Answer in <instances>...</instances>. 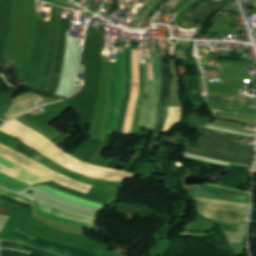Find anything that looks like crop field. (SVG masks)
Instances as JSON below:
<instances>
[{
    "mask_svg": "<svg viewBox=\"0 0 256 256\" xmlns=\"http://www.w3.org/2000/svg\"><path fill=\"white\" fill-rule=\"evenodd\" d=\"M209 107L214 110H221V111H228V112H233V113L248 114V115L256 116V112H252V111L229 109V108H222V107H216V106H210V105H209Z\"/></svg>",
    "mask_w": 256,
    "mask_h": 256,
    "instance_id": "obj_25",
    "label": "crop field"
},
{
    "mask_svg": "<svg viewBox=\"0 0 256 256\" xmlns=\"http://www.w3.org/2000/svg\"><path fill=\"white\" fill-rule=\"evenodd\" d=\"M161 64H162V93H161L160 99H169L170 80H169L166 58H161ZM168 103H169V100H160V107H159V113H158V118H157V122H156V127H155V131L153 134L152 144L149 148V150L151 152L154 151L155 142L163 130L164 123H165L166 116H167Z\"/></svg>",
    "mask_w": 256,
    "mask_h": 256,
    "instance_id": "obj_9",
    "label": "crop field"
},
{
    "mask_svg": "<svg viewBox=\"0 0 256 256\" xmlns=\"http://www.w3.org/2000/svg\"><path fill=\"white\" fill-rule=\"evenodd\" d=\"M17 228H19V227H17ZM19 229H21V228H19ZM13 235L20 238L23 243L29 244L31 246H34V247H37V248H40L43 250L54 252V253H57V254H60L63 256H98V254H94V253L84 251L81 249L69 247V246L63 245L61 243H49L35 235H34L36 237L35 240H33L21 233H18L16 231L14 232Z\"/></svg>",
    "mask_w": 256,
    "mask_h": 256,
    "instance_id": "obj_7",
    "label": "crop field"
},
{
    "mask_svg": "<svg viewBox=\"0 0 256 256\" xmlns=\"http://www.w3.org/2000/svg\"><path fill=\"white\" fill-rule=\"evenodd\" d=\"M0 200L8 201L10 203H13V204L18 205V206H22V207H24L26 209H29V210L33 211V208H32L31 205L23 203V202H20V201H17V200H14V199L2 196V195H0Z\"/></svg>",
    "mask_w": 256,
    "mask_h": 256,
    "instance_id": "obj_26",
    "label": "crop field"
},
{
    "mask_svg": "<svg viewBox=\"0 0 256 256\" xmlns=\"http://www.w3.org/2000/svg\"><path fill=\"white\" fill-rule=\"evenodd\" d=\"M182 108L169 107V115L163 132H168L171 128L181 121Z\"/></svg>",
    "mask_w": 256,
    "mask_h": 256,
    "instance_id": "obj_18",
    "label": "crop field"
},
{
    "mask_svg": "<svg viewBox=\"0 0 256 256\" xmlns=\"http://www.w3.org/2000/svg\"><path fill=\"white\" fill-rule=\"evenodd\" d=\"M0 253H1V256H32L30 254H26L23 252L6 250V249L0 250Z\"/></svg>",
    "mask_w": 256,
    "mask_h": 256,
    "instance_id": "obj_28",
    "label": "crop field"
},
{
    "mask_svg": "<svg viewBox=\"0 0 256 256\" xmlns=\"http://www.w3.org/2000/svg\"><path fill=\"white\" fill-rule=\"evenodd\" d=\"M206 134L210 135L207 137L203 136V138L199 137L198 144L253 155V146L237 143V137L205 131L204 135Z\"/></svg>",
    "mask_w": 256,
    "mask_h": 256,
    "instance_id": "obj_8",
    "label": "crop field"
},
{
    "mask_svg": "<svg viewBox=\"0 0 256 256\" xmlns=\"http://www.w3.org/2000/svg\"><path fill=\"white\" fill-rule=\"evenodd\" d=\"M0 186L10 189L15 192H19V191L29 187V185H27L23 182H20L14 178H11L1 172H0Z\"/></svg>",
    "mask_w": 256,
    "mask_h": 256,
    "instance_id": "obj_16",
    "label": "crop field"
},
{
    "mask_svg": "<svg viewBox=\"0 0 256 256\" xmlns=\"http://www.w3.org/2000/svg\"><path fill=\"white\" fill-rule=\"evenodd\" d=\"M35 209V212L44 216V217H47L49 219H52V220H56V221H60V222H64V223H68V224H72V225H76V226H81V227H85V228H90V225L91 224H88V223H82V222H77V221H73V220H69V219H65V218H61V217H57L55 215H51L45 211H42L36 207H34Z\"/></svg>",
    "mask_w": 256,
    "mask_h": 256,
    "instance_id": "obj_19",
    "label": "crop field"
},
{
    "mask_svg": "<svg viewBox=\"0 0 256 256\" xmlns=\"http://www.w3.org/2000/svg\"><path fill=\"white\" fill-rule=\"evenodd\" d=\"M199 149H203V150H207V151H211V152H216V153H221V154H225V155H230V156H235V157L252 159L251 155L223 151V150H219V149H215V148H211V147H207V146H203V145H200Z\"/></svg>",
    "mask_w": 256,
    "mask_h": 256,
    "instance_id": "obj_21",
    "label": "crop field"
},
{
    "mask_svg": "<svg viewBox=\"0 0 256 256\" xmlns=\"http://www.w3.org/2000/svg\"><path fill=\"white\" fill-rule=\"evenodd\" d=\"M15 142H16V139H14V138H12V137H10V136L0 132V144L8 146V147H10V148H12V149L17 151V148L13 147Z\"/></svg>",
    "mask_w": 256,
    "mask_h": 256,
    "instance_id": "obj_22",
    "label": "crop field"
},
{
    "mask_svg": "<svg viewBox=\"0 0 256 256\" xmlns=\"http://www.w3.org/2000/svg\"><path fill=\"white\" fill-rule=\"evenodd\" d=\"M33 203H34V206L42 209V210H45L51 214H55L57 216H61V217H65V218H69V219H73V220H77V221H83V222H89V223H93L95 222V220L93 219H89V218H83V217H79V216H75V215H71V214H68L64 211H61L59 209H56V208H53L51 206H48V205H45L43 203H40L36 200H33Z\"/></svg>",
    "mask_w": 256,
    "mask_h": 256,
    "instance_id": "obj_15",
    "label": "crop field"
},
{
    "mask_svg": "<svg viewBox=\"0 0 256 256\" xmlns=\"http://www.w3.org/2000/svg\"><path fill=\"white\" fill-rule=\"evenodd\" d=\"M0 206H2V207H7V208H11V209H15V210H18V211L23 212V213H25V214H28V215H30V216L33 215L32 212H30V211H28V210H26V209H23V208L18 207V206L10 205V204H7V203L1 202V201H0Z\"/></svg>",
    "mask_w": 256,
    "mask_h": 256,
    "instance_id": "obj_29",
    "label": "crop field"
},
{
    "mask_svg": "<svg viewBox=\"0 0 256 256\" xmlns=\"http://www.w3.org/2000/svg\"><path fill=\"white\" fill-rule=\"evenodd\" d=\"M207 100L216 101V102H224V103H237V104H250V101L246 100H237V99H228V98H215V97H207Z\"/></svg>",
    "mask_w": 256,
    "mask_h": 256,
    "instance_id": "obj_24",
    "label": "crop field"
},
{
    "mask_svg": "<svg viewBox=\"0 0 256 256\" xmlns=\"http://www.w3.org/2000/svg\"><path fill=\"white\" fill-rule=\"evenodd\" d=\"M0 130L22 140L27 145L35 148L47 157L55 160L59 164L67 167L72 171L79 172L94 178L120 183H123L125 178L134 179L135 177V174L98 168L77 161L63 150L53 146L54 144L52 145L51 143H49L50 141L48 142L40 135L27 129L26 127L22 126L14 120L2 126Z\"/></svg>",
    "mask_w": 256,
    "mask_h": 256,
    "instance_id": "obj_1",
    "label": "crop field"
},
{
    "mask_svg": "<svg viewBox=\"0 0 256 256\" xmlns=\"http://www.w3.org/2000/svg\"><path fill=\"white\" fill-rule=\"evenodd\" d=\"M196 200L198 202L199 213L205 216L214 217V220L235 224H239L240 220H246L248 205L217 200Z\"/></svg>",
    "mask_w": 256,
    "mask_h": 256,
    "instance_id": "obj_3",
    "label": "crop field"
},
{
    "mask_svg": "<svg viewBox=\"0 0 256 256\" xmlns=\"http://www.w3.org/2000/svg\"><path fill=\"white\" fill-rule=\"evenodd\" d=\"M39 100V97L35 95H29L27 93L15 98L13 107L8 110V112L4 115L6 119H9L13 116H16L20 113H23L27 110L37 107L34 103Z\"/></svg>",
    "mask_w": 256,
    "mask_h": 256,
    "instance_id": "obj_13",
    "label": "crop field"
},
{
    "mask_svg": "<svg viewBox=\"0 0 256 256\" xmlns=\"http://www.w3.org/2000/svg\"><path fill=\"white\" fill-rule=\"evenodd\" d=\"M0 194L32 204L31 199L0 188Z\"/></svg>",
    "mask_w": 256,
    "mask_h": 256,
    "instance_id": "obj_23",
    "label": "crop field"
},
{
    "mask_svg": "<svg viewBox=\"0 0 256 256\" xmlns=\"http://www.w3.org/2000/svg\"><path fill=\"white\" fill-rule=\"evenodd\" d=\"M123 90V51H118L117 61V78H116V91L114 97L113 108L118 109L123 94L119 91ZM118 113V112H117ZM117 113L112 111L111 119L108 126V132H114L116 126Z\"/></svg>",
    "mask_w": 256,
    "mask_h": 256,
    "instance_id": "obj_12",
    "label": "crop field"
},
{
    "mask_svg": "<svg viewBox=\"0 0 256 256\" xmlns=\"http://www.w3.org/2000/svg\"><path fill=\"white\" fill-rule=\"evenodd\" d=\"M212 112L213 114L222 115V116H232V117H239V118L252 119V120L256 119V117L247 116V115L233 114V113L214 111V110H212Z\"/></svg>",
    "mask_w": 256,
    "mask_h": 256,
    "instance_id": "obj_27",
    "label": "crop field"
},
{
    "mask_svg": "<svg viewBox=\"0 0 256 256\" xmlns=\"http://www.w3.org/2000/svg\"><path fill=\"white\" fill-rule=\"evenodd\" d=\"M205 130H208V129H205ZM208 131H214V130H208ZM216 132H219V131H216ZM220 133L229 134V135L238 136V137H244V136H239V135L225 133V132H220ZM244 138H250V137H244ZM251 139H254V138H251Z\"/></svg>",
    "mask_w": 256,
    "mask_h": 256,
    "instance_id": "obj_33",
    "label": "crop field"
},
{
    "mask_svg": "<svg viewBox=\"0 0 256 256\" xmlns=\"http://www.w3.org/2000/svg\"><path fill=\"white\" fill-rule=\"evenodd\" d=\"M23 117L26 118L27 120L31 121L32 123L36 124L37 126L41 127L42 129L46 130L47 132L51 133L52 135L56 136V137L62 135L59 131L55 130L54 128L48 126L47 124H45L41 120H39V119L29 115V114H27Z\"/></svg>",
    "mask_w": 256,
    "mask_h": 256,
    "instance_id": "obj_20",
    "label": "crop field"
},
{
    "mask_svg": "<svg viewBox=\"0 0 256 256\" xmlns=\"http://www.w3.org/2000/svg\"><path fill=\"white\" fill-rule=\"evenodd\" d=\"M165 0H160L153 8L152 10H156L160 7V5L164 2Z\"/></svg>",
    "mask_w": 256,
    "mask_h": 256,
    "instance_id": "obj_32",
    "label": "crop field"
},
{
    "mask_svg": "<svg viewBox=\"0 0 256 256\" xmlns=\"http://www.w3.org/2000/svg\"><path fill=\"white\" fill-rule=\"evenodd\" d=\"M147 70V98L145 99L140 126L154 129L159 93L161 88V76L159 54L153 55V64H146Z\"/></svg>",
    "mask_w": 256,
    "mask_h": 256,
    "instance_id": "obj_2",
    "label": "crop field"
},
{
    "mask_svg": "<svg viewBox=\"0 0 256 256\" xmlns=\"http://www.w3.org/2000/svg\"><path fill=\"white\" fill-rule=\"evenodd\" d=\"M0 247L19 249V250L31 252V253H34L37 255H41V256H58L56 254L40 251L36 248L29 247V246H26V245H23L20 243H16V242L0 241Z\"/></svg>",
    "mask_w": 256,
    "mask_h": 256,
    "instance_id": "obj_17",
    "label": "crop field"
},
{
    "mask_svg": "<svg viewBox=\"0 0 256 256\" xmlns=\"http://www.w3.org/2000/svg\"><path fill=\"white\" fill-rule=\"evenodd\" d=\"M194 190H190L192 197L210 198L217 200L241 202L248 204V194L239 191H233L225 188H219L212 185L193 186Z\"/></svg>",
    "mask_w": 256,
    "mask_h": 256,
    "instance_id": "obj_6",
    "label": "crop field"
},
{
    "mask_svg": "<svg viewBox=\"0 0 256 256\" xmlns=\"http://www.w3.org/2000/svg\"><path fill=\"white\" fill-rule=\"evenodd\" d=\"M157 0H151L148 5L152 6Z\"/></svg>",
    "mask_w": 256,
    "mask_h": 256,
    "instance_id": "obj_34",
    "label": "crop field"
},
{
    "mask_svg": "<svg viewBox=\"0 0 256 256\" xmlns=\"http://www.w3.org/2000/svg\"><path fill=\"white\" fill-rule=\"evenodd\" d=\"M132 77H134V79H132V96L129 102L123 134H130L131 132L134 107L138 98V92H139L138 50H132Z\"/></svg>",
    "mask_w": 256,
    "mask_h": 256,
    "instance_id": "obj_10",
    "label": "crop field"
},
{
    "mask_svg": "<svg viewBox=\"0 0 256 256\" xmlns=\"http://www.w3.org/2000/svg\"><path fill=\"white\" fill-rule=\"evenodd\" d=\"M124 76H125V94L123 98L122 105L120 107V113L118 118V127L116 133L122 134L125 115L127 110V105L130 98V90H131V49H125V67H124Z\"/></svg>",
    "mask_w": 256,
    "mask_h": 256,
    "instance_id": "obj_11",
    "label": "crop field"
},
{
    "mask_svg": "<svg viewBox=\"0 0 256 256\" xmlns=\"http://www.w3.org/2000/svg\"><path fill=\"white\" fill-rule=\"evenodd\" d=\"M114 89H115V85H113V83L111 82L110 84V96L113 99L114 96Z\"/></svg>",
    "mask_w": 256,
    "mask_h": 256,
    "instance_id": "obj_31",
    "label": "crop field"
},
{
    "mask_svg": "<svg viewBox=\"0 0 256 256\" xmlns=\"http://www.w3.org/2000/svg\"><path fill=\"white\" fill-rule=\"evenodd\" d=\"M0 155L24 166L27 169H30L32 171H35L57 183H60L62 185L83 191L88 193V191L90 190L91 186H88L86 184H82V183H78L74 180H71L63 175H60L58 173H55L43 166H41L40 164L36 163L35 161L29 159L28 157L15 152L5 146L0 145ZM34 172V173H35Z\"/></svg>",
    "mask_w": 256,
    "mask_h": 256,
    "instance_id": "obj_5",
    "label": "crop field"
},
{
    "mask_svg": "<svg viewBox=\"0 0 256 256\" xmlns=\"http://www.w3.org/2000/svg\"><path fill=\"white\" fill-rule=\"evenodd\" d=\"M217 223H219L222 226L223 230H227V231L235 232L238 227L235 225H229V224H224V223H220V222H217Z\"/></svg>",
    "mask_w": 256,
    "mask_h": 256,
    "instance_id": "obj_30",
    "label": "crop field"
},
{
    "mask_svg": "<svg viewBox=\"0 0 256 256\" xmlns=\"http://www.w3.org/2000/svg\"><path fill=\"white\" fill-rule=\"evenodd\" d=\"M186 153L194 155V156L202 157V158H208V159H213V160H218V161H223V162L235 163V164H240V165L249 166V167H251V162H252L250 160L231 158L229 156L211 153V152H207V151H202V150H198V149H193V148H189V147H187Z\"/></svg>",
    "mask_w": 256,
    "mask_h": 256,
    "instance_id": "obj_14",
    "label": "crop field"
},
{
    "mask_svg": "<svg viewBox=\"0 0 256 256\" xmlns=\"http://www.w3.org/2000/svg\"><path fill=\"white\" fill-rule=\"evenodd\" d=\"M19 152L27 155L31 159L35 160L36 162L40 163L41 165L52 169L60 174H63L65 176H68L78 182H83L95 187L107 189V190H114L118 191V188H120V183L110 182V181H104L99 179L90 178L84 175H81L79 173L71 172L68 169L60 166L59 164L55 163L54 161L50 160L49 158L41 155L39 152L34 150L33 148L27 146L22 142V144L19 146L18 149Z\"/></svg>",
    "mask_w": 256,
    "mask_h": 256,
    "instance_id": "obj_4",
    "label": "crop field"
}]
</instances>
